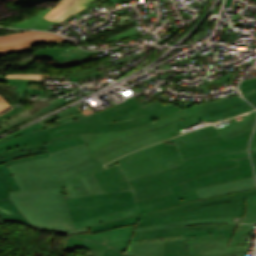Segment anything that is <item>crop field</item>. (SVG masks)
Here are the masks:
<instances>
[{"mask_svg":"<svg viewBox=\"0 0 256 256\" xmlns=\"http://www.w3.org/2000/svg\"><path fill=\"white\" fill-rule=\"evenodd\" d=\"M92 132H100V130L99 128L80 129V130L65 129V130L53 132L51 134L54 140L46 143L45 145L48 148L50 153L55 152L58 150L83 144L84 141L82 140L79 133H92Z\"/></svg>","mask_w":256,"mask_h":256,"instance_id":"733c2abd","label":"crop field"},{"mask_svg":"<svg viewBox=\"0 0 256 256\" xmlns=\"http://www.w3.org/2000/svg\"><path fill=\"white\" fill-rule=\"evenodd\" d=\"M240 219L241 218H213V219H205V220L174 222V223H168V224H162V225L142 227V228L136 229L134 232L158 229V228H166V227L191 226V225H199V224H221V223L238 224Z\"/></svg>","mask_w":256,"mask_h":256,"instance_id":"214f88e0","label":"crop field"},{"mask_svg":"<svg viewBox=\"0 0 256 256\" xmlns=\"http://www.w3.org/2000/svg\"><path fill=\"white\" fill-rule=\"evenodd\" d=\"M48 155L49 153L47 149L43 148L13 153L0 160V218L3 221L21 222L32 227L10 199L9 192L19 190V187L11 175L7 165Z\"/></svg>","mask_w":256,"mask_h":256,"instance_id":"5a996713","label":"crop field"},{"mask_svg":"<svg viewBox=\"0 0 256 256\" xmlns=\"http://www.w3.org/2000/svg\"><path fill=\"white\" fill-rule=\"evenodd\" d=\"M111 1L116 5L117 8L121 7V4L119 2L121 0H111Z\"/></svg>","mask_w":256,"mask_h":256,"instance_id":"0bd39190","label":"crop field"},{"mask_svg":"<svg viewBox=\"0 0 256 256\" xmlns=\"http://www.w3.org/2000/svg\"><path fill=\"white\" fill-rule=\"evenodd\" d=\"M6 77H13V78H29V79H42V74H32V75H6Z\"/></svg>","mask_w":256,"mask_h":256,"instance_id":"bd1437ed","label":"crop field"},{"mask_svg":"<svg viewBox=\"0 0 256 256\" xmlns=\"http://www.w3.org/2000/svg\"><path fill=\"white\" fill-rule=\"evenodd\" d=\"M253 92H256V90L251 91V92H248V93H244V94H242V95L245 97V96H247V95H249V94H251V93H253Z\"/></svg>","mask_w":256,"mask_h":256,"instance_id":"b80d0937","label":"crop field"},{"mask_svg":"<svg viewBox=\"0 0 256 256\" xmlns=\"http://www.w3.org/2000/svg\"><path fill=\"white\" fill-rule=\"evenodd\" d=\"M141 34L138 29L136 28V26L131 27L119 34L113 35L111 37L106 38L107 40L104 41H100V42H96V43H92V44H97V43H102V42H107V41H112V40H118V39H123V38H127V37H131L134 35H138ZM89 45V44H86Z\"/></svg>","mask_w":256,"mask_h":256,"instance_id":"d3111659","label":"crop field"},{"mask_svg":"<svg viewBox=\"0 0 256 256\" xmlns=\"http://www.w3.org/2000/svg\"><path fill=\"white\" fill-rule=\"evenodd\" d=\"M246 99L256 107V93L246 97Z\"/></svg>","mask_w":256,"mask_h":256,"instance_id":"d32e631a","label":"crop field"},{"mask_svg":"<svg viewBox=\"0 0 256 256\" xmlns=\"http://www.w3.org/2000/svg\"><path fill=\"white\" fill-rule=\"evenodd\" d=\"M246 200V210L240 223H256V195Z\"/></svg>","mask_w":256,"mask_h":256,"instance_id":"a9b5d70f","label":"crop field"},{"mask_svg":"<svg viewBox=\"0 0 256 256\" xmlns=\"http://www.w3.org/2000/svg\"><path fill=\"white\" fill-rule=\"evenodd\" d=\"M164 256H187L186 240L165 242Z\"/></svg>","mask_w":256,"mask_h":256,"instance_id":"00972430","label":"crop field"},{"mask_svg":"<svg viewBox=\"0 0 256 256\" xmlns=\"http://www.w3.org/2000/svg\"><path fill=\"white\" fill-rule=\"evenodd\" d=\"M81 116H84V114L80 110H78L75 106H72V107L65 109L57 114L49 116L41 121H42V123H45V122L57 119L58 123L60 124V123H63V122H66V121H69L72 119L79 118Z\"/></svg>","mask_w":256,"mask_h":256,"instance_id":"dafd665d","label":"crop field"},{"mask_svg":"<svg viewBox=\"0 0 256 256\" xmlns=\"http://www.w3.org/2000/svg\"><path fill=\"white\" fill-rule=\"evenodd\" d=\"M254 169H255V173H256V166L254 167Z\"/></svg>","mask_w":256,"mask_h":256,"instance_id":"03da06ac","label":"crop field"},{"mask_svg":"<svg viewBox=\"0 0 256 256\" xmlns=\"http://www.w3.org/2000/svg\"><path fill=\"white\" fill-rule=\"evenodd\" d=\"M77 2L79 1L78 0H62L55 6V8L50 13H48L45 16V18L53 20L54 18H56L58 15H60L62 12H64L65 10H67L69 7H71Z\"/></svg>","mask_w":256,"mask_h":256,"instance_id":"730fd06b","label":"crop field"},{"mask_svg":"<svg viewBox=\"0 0 256 256\" xmlns=\"http://www.w3.org/2000/svg\"><path fill=\"white\" fill-rule=\"evenodd\" d=\"M255 149H256V128H255V131H254L252 139H251L250 151L255 150Z\"/></svg>","mask_w":256,"mask_h":256,"instance_id":"1d83c4d3","label":"crop field"},{"mask_svg":"<svg viewBox=\"0 0 256 256\" xmlns=\"http://www.w3.org/2000/svg\"><path fill=\"white\" fill-rule=\"evenodd\" d=\"M93 1H97V0H80L79 3L75 4L74 6L69 8L67 11L62 13L60 16H58L56 19H54V21L60 22L73 14L83 11L84 9L88 8L84 4H86L88 2H93Z\"/></svg>","mask_w":256,"mask_h":256,"instance_id":"eef30255","label":"crop field"},{"mask_svg":"<svg viewBox=\"0 0 256 256\" xmlns=\"http://www.w3.org/2000/svg\"><path fill=\"white\" fill-rule=\"evenodd\" d=\"M116 162H119L126 179L160 171L182 163L173 141L168 144L164 141L142 149L105 166L108 167Z\"/></svg>","mask_w":256,"mask_h":256,"instance_id":"d8731c3e","label":"crop field"},{"mask_svg":"<svg viewBox=\"0 0 256 256\" xmlns=\"http://www.w3.org/2000/svg\"><path fill=\"white\" fill-rule=\"evenodd\" d=\"M28 81L41 82V81H38V80L0 79L1 83H7V84L22 86L20 89L17 90L20 93H43V91L26 88Z\"/></svg>","mask_w":256,"mask_h":256,"instance_id":"ae1a2a85","label":"crop field"},{"mask_svg":"<svg viewBox=\"0 0 256 256\" xmlns=\"http://www.w3.org/2000/svg\"><path fill=\"white\" fill-rule=\"evenodd\" d=\"M48 103H51L50 105L46 106L45 108L41 109L40 111H38L37 113L33 114L35 117L51 110V109H54V108H57L59 106H62V105H65L67 104V102L62 98V99H59V98H56V99H51V100H48Z\"/></svg>","mask_w":256,"mask_h":256,"instance_id":"750c4746","label":"crop field"},{"mask_svg":"<svg viewBox=\"0 0 256 256\" xmlns=\"http://www.w3.org/2000/svg\"><path fill=\"white\" fill-rule=\"evenodd\" d=\"M65 201L74 228L89 226L91 234L136 224L139 216L131 191L82 196Z\"/></svg>","mask_w":256,"mask_h":256,"instance_id":"412701ff","label":"crop field"},{"mask_svg":"<svg viewBox=\"0 0 256 256\" xmlns=\"http://www.w3.org/2000/svg\"><path fill=\"white\" fill-rule=\"evenodd\" d=\"M136 225H130L102 233H97L90 235L87 234H81V235H72L76 237H83L88 238L94 241L102 242L111 245L112 247L125 252L128 243L131 239V236L133 234V230Z\"/></svg>","mask_w":256,"mask_h":256,"instance_id":"cbeb9de0","label":"crop field"},{"mask_svg":"<svg viewBox=\"0 0 256 256\" xmlns=\"http://www.w3.org/2000/svg\"><path fill=\"white\" fill-rule=\"evenodd\" d=\"M24 4L28 3V2H31V1H34V0H21Z\"/></svg>","mask_w":256,"mask_h":256,"instance_id":"c035e120","label":"crop field"},{"mask_svg":"<svg viewBox=\"0 0 256 256\" xmlns=\"http://www.w3.org/2000/svg\"><path fill=\"white\" fill-rule=\"evenodd\" d=\"M251 157H252V161L254 166L256 165V151H251Z\"/></svg>","mask_w":256,"mask_h":256,"instance_id":"e1f06a70","label":"crop field"},{"mask_svg":"<svg viewBox=\"0 0 256 256\" xmlns=\"http://www.w3.org/2000/svg\"><path fill=\"white\" fill-rule=\"evenodd\" d=\"M217 10L214 9V11L212 12L211 16L209 17L208 21L210 20H214L217 17Z\"/></svg>","mask_w":256,"mask_h":256,"instance_id":"028f5c9d","label":"crop field"},{"mask_svg":"<svg viewBox=\"0 0 256 256\" xmlns=\"http://www.w3.org/2000/svg\"><path fill=\"white\" fill-rule=\"evenodd\" d=\"M47 127L39 122L7 137L0 139V159L20 150L45 147L44 143L52 140Z\"/></svg>","mask_w":256,"mask_h":256,"instance_id":"3316defc","label":"crop field"},{"mask_svg":"<svg viewBox=\"0 0 256 256\" xmlns=\"http://www.w3.org/2000/svg\"><path fill=\"white\" fill-rule=\"evenodd\" d=\"M238 163L239 167L206 174L171 187L173 194L136 202L140 214L199 199L194 188L213 185L253 175L248 158L240 159L238 160Z\"/></svg>","mask_w":256,"mask_h":256,"instance_id":"e52e79f7","label":"crop field"},{"mask_svg":"<svg viewBox=\"0 0 256 256\" xmlns=\"http://www.w3.org/2000/svg\"><path fill=\"white\" fill-rule=\"evenodd\" d=\"M145 1H147V0H145Z\"/></svg>","mask_w":256,"mask_h":256,"instance_id":"b54c1fbb","label":"crop field"},{"mask_svg":"<svg viewBox=\"0 0 256 256\" xmlns=\"http://www.w3.org/2000/svg\"><path fill=\"white\" fill-rule=\"evenodd\" d=\"M102 193L131 190L119 166L93 173Z\"/></svg>","mask_w":256,"mask_h":256,"instance_id":"5142ce71","label":"crop field"},{"mask_svg":"<svg viewBox=\"0 0 256 256\" xmlns=\"http://www.w3.org/2000/svg\"><path fill=\"white\" fill-rule=\"evenodd\" d=\"M255 188H256V184L252 176V177L235 180L231 182H226L222 184H217L213 186L197 188L196 191L200 199L203 200V199L214 197L217 195L240 192V191H245V190H250Z\"/></svg>","mask_w":256,"mask_h":256,"instance_id":"d9b57169","label":"crop field"},{"mask_svg":"<svg viewBox=\"0 0 256 256\" xmlns=\"http://www.w3.org/2000/svg\"><path fill=\"white\" fill-rule=\"evenodd\" d=\"M244 253H239V254H234V255H228V256H239V255H243Z\"/></svg>","mask_w":256,"mask_h":256,"instance_id":"c21b1889","label":"crop field"},{"mask_svg":"<svg viewBox=\"0 0 256 256\" xmlns=\"http://www.w3.org/2000/svg\"><path fill=\"white\" fill-rule=\"evenodd\" d=\"M219 135L216 128L213 125L206 126L204 128L197 129L192 132H188L186 134H183L181 136L175 137L173 139L168 140V142L176 139L183 138L185 143L200 140V139H205L213 136Z\"/></svg>","mask_w":256,"mask_h":256,"instance_id":"92a150f3","label":"crop field"},{"mask_svg":"<svg viewBox=\"0 0 256 256\" xmlns=\"http://www.w3.org/2000/svg\"><path fill=\"white\" fill-rule=\"evenodd\" d=\"M236 227L237 225H233V224H221V225H199V226H191V227L167 228V229L137 232L133 234L132 238L140 237V236L160 235V234H170V233L210 230V229L235 230Z\"/></svg>","mask_w":256,"mask_h":256,"instance_id":"bc2a9ffb","label":"crop field"},{"mask_svg":"<svg viewBox=\"0 0 256 256\" xmlns=\"http://www.w3.org/2000/svg\"><path fill=\"white\" fill-rule=\"evenodd\" d=\"M10 105L0 96V111L8 108Z\"/></svg>","mask_w":256,"mask_h":256,"instance_id":"120bbe31","label":"crop field"},{"mask_svg":"<svg viewBox=\"0 0 256 256\" xmlns=\"http://www.w3.org/2000/svg\"><path fill=\"white\" fill-rule=\"evenodd\" d=\"M180 110L182 109L172 104L165 107L159 101L144 109L130 98L109 109L51 127L48 130L52 132L65 128L80 129L93 127H100L101 132L124 130L148 124L155 119Z\"/></svg>","mask_w":256,"mask_h":256,"instance_id":"f4fd0767","label":"crop field"},{"mask_svg":"<svg viewBox=\"0 0 256 256\" xmlns=\"http://www.w3.org/2000/svg\"><path fill=\"white\" fill-rule=\"evenodd\" d=\"M256 111L227 120L217 126L220 136L185 144L174 141L183 164L129 179L135 200L170 194L169 187L213 171L238 166L237 159L248 157L247 143Z\"/></svg>","mask_w":256,"mask_h":256,"instance_id":"ac0d7876","label":"crop field"},{"mask_svg":"<svg viewBox=\"0 0 256 256\" xmlns=\"http://www.w3.org/2000/svg\"><path fill=\"white\" fill-rule=\"evenodd\" d=\"M9 168L21 189L11 192V199L34 228L65 234L89 232L88 227L74 230L64 201L101 193L91 173L104 166L89 154L85 144Z\"/></svg>","mask_w":256,"mask_h":256,"instance_id":"8a807250","label":"crop field"},{"mask_svg":"<svg viewBox=\"0 0 256 256\" xmlns=\"http://www.w3.org/2000/svg\"><path fill=\"white\" fill-rule=\"evenodd\" d=\"M75 247L90 249L88 256H126L101 243L75 237H68L63 250L73 251Z\"/></svg>","mask_w":256,"mask_h":256,"instance_id":"4a817a6b","label":"crop field"},{"mask_svg":"<svg viewBox=\"0 0 256 256\" xmlns=\"http://www.w3.org/2000/svg\"><path fill=\"white\" fill-rule=\"evenodd\" d=\"M180 234H184L185 238L183 239L232 238L234 231L210 230V231H199V232H186V233H178V234H170V235L141 237V238H135L132 240L149 239V238H157V237L180 235ZM177 240H181V239H177ZM163 252H164V241L129 245L126 251V253L132 254L135 256H163Z\"/></svg>","mask_w":256,"mask_h":256,"instance_id":"28ad6ade","label":"crop field"},{"mask_svg":"<svg viewBox=\"0 0 256 256\" xmlns=\"http://www.w3.org/2000/svg\"><path fill=\"white\" fill-rule=\"evenodd\" d=\"M252 89H256V83H255V84H252V85H249V86H246V87L241 88V91H242V93H244V92H247V91H251Z\"/></svg>","mask_w":256,"mask_h":256,"instance_id":"5866460e","label":"crop field"},{"mask_svg":"<svg viewBox=\"0 0 256 256\" xmlns=\"http://www.w3.org/2000/svg\"><path fill=\"white\" fill-rule=\"evenodd\" d=\"M251 226H252V224H239V226H238L232 240L228 244V246L244 244V241L249 233Z\"/></svg>","mask_w":256,"mask_h":256,"instance_id":"4177f3b9","label":"crop field"},{"mask_svg":"<svg viewBox=\"0 0 256 256\" xmlns=\"http://www.w3.org/2000/svg\"><path fill=\"white\" fill-rule=\"evenodd\" d=\"M256 194L255 190L222 195L206 200H195L173 208L142 214L137 227L162 224L182 220L212 217H242L245 210L244 198Z\"/></svg>","mask_w":256,"mask_h":256,"instance_id":"dd49c442","label":"crop field"},{"mask_svg":"<svg viewBox=\"0 0 256 256\" xmlns=\"http://www.w3.org/2000/svg\"><path fill=\"white\" fill-rule=\"evenodd\" d=\"M253 109L237 95L196 104L138 128L108 133L81 134V136L90 154L92 153L98 160L106 164L127 153L176 136V134H182L180 129L195 123L206 121L216 123Z\"/></svg>","mask_w":256,"mask_h":256,"instance_id":"34b2d1b8","label":"crop field"},{"mask_svg":"<svg viewBox=\"0 0 256 256\" xmlns=\"http://www.w3.org/2000/svg\"><path fill=\"white\" fill-rule=\"evenodd\" d=\"M229 241L230 239L187 240L188 256H222L246 252L247 245L226 247Z\"/></svg>","mask_w":256,"mask_h":256,"instance_id":"22f410ed","label":"crop field"},{"mask_svg":"<svg viewBox=\"0 0 256 256\" xmlns=\"http://www.w3.org/2000/svg\"><path fill=\"white\" fill-rule=\"evenodd\" d=\"M55 41L68 40L53 33L34 31L0 36V55L31 48L30 43Z\"/></svg>","mask_w":256,"mask_h":256,"instance_id":"d1516ede","label":"crop field"}]
</instances>
